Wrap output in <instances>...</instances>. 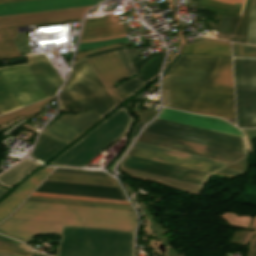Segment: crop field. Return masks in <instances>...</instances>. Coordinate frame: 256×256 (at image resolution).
<instances>
[{
	"label": "crop field",
	"mask_w": 256,
	"mask_h": 256,
	"mask_svg": "<svg viewBox=\"0 0 256 256\" xmlns=\"http://www.w3.org/2000/svg\"><path fill=\"white\" fill-rule=\"evenodd\" d=\"M148 125L245 148L243 139L232 135H227L189 125H184L159 118H156Z\"/></svg>",
	"instance_id": "crop-field-11"
},
{
	"label": "crop field",
	"mask_w": 256,
	"mask_h": 256,
	"mask_svg": "<svg viewBox=\"0 0 256 256\" xmlns=\"http://www.w3.org/2000/svg\"><path fill=\"white\" fill-rule=\"evenodd\" d=\"M246 128L256 127V60L241 59Z\"/></svg>",
	"instance_id": "crop-field-10"
},
{
	"label": "crop field",
	"mask_w": 256,
	"mask_h": 256,
	"mask_svg": "<svg viewBox=\"0 0 256 256\" xmlns=\"http://www.w3.org/2000/svg\"><path fill=\"white\" fill-rule=\"evenodd\" d=\"M19 108V105L12 97L2 80L0 79V112L1 114Z\"/></svg>",
	"instance_id": "crop-field-27"
},
{
	"label": "crop field",
	"mask_w": 256,
	"mask_h": 256,
	"mask_svg": "<svg viewBox=\"0 0 256 256\" xmlns=\"http://www.w3.org/2000/svg\"><path fill=\"white\" fill-rule=\"evenodd\" d=\"M0 246L29 252L32 251V249L28 248L27 246L2 236H0Z\"/></svg>",
	"instance_id": "crop-field-33"
},
{
	"label": "crop field",
	"mask_w": 256,
	"mask_h": 256,
	"mask_svg": "<svg viewBox=\"0 0 256 256\" xmlns=\"http://www.w3.org/2000/svg\"><path fill=\"white\" fill-rule=\"evenodd\" d=\"M120 166L201 185L204 184L210 175L209 173L205 172L173 166L129 155L124 157L120 163Z\"/></svg>",
	"instance_id": "crop-field-9"
},
{
	"label": "crop field",
	"mask_w": 256,
	"mask_h": 256,
	"mask_svg": "<svg viewBox=\"0 0 256 256\" xmlns=\"http://www.w3.org/2000/svg\"><path fill=\"white\" fill-rule=\"evenodd\" d=\"M138 129L133 128L132 133H131V137L128 143V147L130 145V143L132 142L133 138L135 137V135L137 134ZM127 147V148H128ZM127 148L124 150V152L113 162L112 166H109V170L112 171L113 166L115 165V163L120 159V157L125 153V151L127 150Z\"/></svg>",
	"instance_id": "crop-field-39"
},
{
	"label": "crop field",
	"mask_w": 256,
	"mask_h": 256,
	"mask_svg": "<svg viewBox=\"0 0 256 256\" xmlns=\"http://www.w3.org/2000/svg\"><path fill=\"white\" fill-rule=\"evenodd\" d=\"M7 191H8V190H6V189H4V188H2V187L0 186V197H1L3 194H5Z\"/></svg>",
	"instance_id": "crop-field-48"
},
{
	"label": "crop field",
	"mask_w": 256,
	"mask_h": 256,
	"mask_svg": "<svg viewBox=\"0 0 256 256\" xmlns=\"http://www.w3.org/2000/svg\"><path fill=\"white\" fill-rule=\"evenodd\" d=\"M131 116L123 106L50 164L81 167L125 130Z\"/></svg>",
	"instance_id": "crop-field-7"
},
{
	"label": "crop field",
	"mask_w": 256,
	"mask_h": 256,
	"mask_svg": "<svg viewBox=\"0 0 256 256\" xmlns=\"http://www.w3.org/2000/svg\"><path fill=\"white\" fill-rule=\"evenodd\" d=\"M46 179L117 186L115 181L50 174Z\"/></svg>",
	"instance_id": "crop-field-28"
},
{
	"label": "crop field",
	"mask_w": 256,
	"mask_h": 256,
	"mask_svg": "<svg viewBox=\"0 0 256 256\" xmlns=\"http://www.w3.org/2000/svg\"><path fill=\"white\" fill-rule=\"evenodd\" d=\"M0 256H13V255H8V254L0 253Z\"/></svg>",
	"instance_id": "crop-field-51"
},
{
	"label": "crop field",
	"mask_w": 256,
	"mask_h": 256,
	"mask_svg": "<svg viewBox=\"0 0 256 256\" xmlns=\"http://www.w3.org/2000/svg\"><path fill=\"white\" fill-rule=\"evenodd\" d=\"M10 1H18V0H0V3H2V2H10Z\"/></svg>",
	"instance_id": "crop-field-50"
},
{
	"label": "crop field",
	"mask_w": 256,
	"mask_h": 256,
	"mask_svg": "<svg viewBox=\"0 0 256 256\" xmlns=\"http://www.w3.org/2000/svg\"><path fill=\"white\" fill-rule=\"evenodd\" d=\"M216 41V40H215ZM215 41H202L195 44L188 45L184 51V53H190V54H206V55H221V56H228V42L221 43V42H215ZM182 51V53H183ZM229 56H231V49H230V43H229Z\"/></svg>",
	"instance_id": "crop-field-18"
},
{
	"label": "crop field",
	"mask_w": 256,
	"mask_h": 256,
	"mask_svg": "<svg viewBox=\"0 0 256 256\" xmlns=\"http://www.w3.org/2000/svg\"><path fill=\"white\" fill-rule=\"evenodd\" d=\"M250 229H255L256 230V219H254L253 224H252Z\"/></svg>",
	"instance_id": "crop-field-49"
},
{
	"label": "crop field",
	"mask_w": 256,
	"mask_h": 256,
	"mask_svg": "<svg viewBox=\"0 0 256 256\" xmlns=\"http://www.w3.org/2000/svg\"><path fill=\"white\" fill-rule=\"evenodd\" d=\"M55 171L59 172H71V173H83V174H94V175H106L103 172H96V171H85V170H74V169H63V168H56Z\"/></svg>",
	"instance_id": "crop-field-36"
},
{
	"label": "crop field",
	"mask_w": 256,
	"mask_h": 256,
	"mask_svg": "<svg viewBox=\"0 0 256 256\" xmlns=\"http://www.w3.org/2000/svg\"><path fill=\"white\" fill-rule=\"evenodd\" d=\"M65 144H67V142L42 132L33 149L31 157L43 163Z\"/></svg>",
	"instance_id": "crop-field-16"
},
{
	"label": "crop field",
	"mask_w": 256,
	"mask_h": 256,
	"mask_svg": "<svg viewBox=\"0 0 256 256\" xmlns=\"http://www.w3.org/2000/svg\"><path fill=\"white\" fill-rule=\"evenodd\" d=\"M137 141L229 163L244 156L242 154L199 145L174 138H169L144 131H141Z\"/></svg>",
	"instance_id": "crop-field-8"
},
{
	"label": "crop field",
	"mask_w": 256,
	"mask_h": 256,
	"mask_svg": "<svg viewBox=\"0 0 256 256\" xmlns=\"http://www.w3.org/2000/svg\"><path fill=\"white\" fill-rule=\"evenodd\" d=\"M158 117L241 136L240 131H238L232 125L217 118L194 115L165 108L162 109Z\"/></svg>",
	"instance_id": "crop-field-12"
},
{
	"label": "crop field",
	"mask_w": 256,
	"mask_h": 256,
	"mask_svg": "<svg viewBox=\"0 0 256 256\" xmlns=\"http://www.w3.org/2000/svg\"><path fill=\"white\" fill-rule=\"evenodd\" d=\"M126 34H123V35H119V36H124ZM115 37H118V36H115ZM109 38H113V37H109ZM101 39H107V38H100V39H90V40H83V41H92V40H101ZM83 41H80V42H83Z\"/></svg>",
	"instance_id": "crop-field-47"
},
{
	"label": "crop field",
	"mask_w": 256,
	"mask_h": 256,
	"mask_svg": "<svg viewBox=\"0 0 256 256\" xmlns=\"http://www.w3.org/2000/svg\"><path fill=\"white\" fill-rule=\"evenodd\" d=\"M144 82L137 80L135 78L130 79L123 84L117 86L118 88L127 91L129 93L133 92L135 89H137L139 86H141Z\"/></svg>",
	"instance_id": "crop-field-34"
},
{
	"label": "crop field",
	"mask_w": 256,
	"mask_h": 256,
	"mask_svg": "<svg viewBox=\"0 0 256 256\" xmlns=\"http://www.w3.org/2000/svg\"><path fill=\"white\" fill-rule=\"evenodd\" d=\"M126 52H127V55L130 59L131 64L140 60V58L137 56L140 53L138 52V50L136 48L128 49V50H126Z\"/></svg>",
	"instance_id": "crop-field-37"
},
{
	"label": "crop field",
	"mask_w": 256,
	"mask_h": 256,
	"mask_svg": "<svg viewBox=\"0 0 256 256\" xmlns=\"http://www.w3.org/2000/svg\"><path fill=\"white\" fill-rule=\"evenodd\" d=\"M128 154L133 155V156L142 157V158L151 159V160H156V161H160V162H165V163H169V164H173V165H178V166H182V167H187V168H191V169H196V170H200V171H205V172H209V173H212V172L218 170L219 168H221V166H217V165L198 162V161H194V160H189V159L180 158V157L171 156V155L162 154V153L153 152V151H148V150L139 149V148H135V147H132V149L129 151Z\"/></svg>",
	"instance_id": "crop-field-15"
},
{
	"label": "crop field",
	"mask_w": 256,
	"mask_h": 256,
	"mask_svg": "<svg viewBox=\"0 0 256 256\" xmlns=\"http://www.w3.org/2000/svg\"><path fill=\"white\" fill-rule=\"evenodd\" d=\"M122 48H125V47L124 46H120V47H116V48H112V49H107V50H103V51L87 54L85 57L88 58V57H92V56H96V55L112 52L114 50H118V49H122Z\"/></svg>",
	"instance_id": "crop-field-41"
},
{
	"label": "crop field",
	"mask_w": 256,
	"mask_h": 256,
	"mask_svg": "<svg viewBox=\"0 0 256 256\" xmlns=\"http://www.w3.org/2000/svg\"><path fill=\"white\" fill-rule=\"evenodd\" d=\"M134 146L139 147V148L148 149V150L158 151V152H162V153H167V154H171V155H176V156H180V157H185V158H189V159H194V160H198V161L217 164V165H221V166H225L229 163V162L224 163V162H220V161H215V160L202 158V157H198V156H194V155H189V154H185V153H181V152H177V151H172V150H168V149H164V148L146 145V144H142V143H138V142H135Z\"/></svg>",
	"instance_id": "crop-field-25"
},
{
	"label": "crop field",
	"mask_w": 256,
	"mask_h": 256,
	"mask_svg": "<svg viewBox=\"0 0 256 256\" xmlns=\"http://www.w3.org/2000/svg\"><path fill=\"white\" fill-rule=\"evenodd\" d=\"M0 252L14 254V255H20V256H30V253L10 250V249L3 248V247H0Z\"/></svg>",
	"instance_id": "crop-field-38"
},
{
	"label": "crop field",
	"mask_w": 256,
	"mask_h": 256,
	"mask_svg": "<svg viewBox=\"0 0 256 256\" xmlns=\"http://www.w3.org/2000/svg\"><path fill=\"white\" fill-rule=\"evenodd\" d=\"M113 42L129 43L128 37L124 36V37H118V38L101 40V41L79 43L77 50H85V49L94 48V47L106 45V44L113 43Z\"/></svg>",
	"instance_id": "crop-field-31"
},
{
	"label": "crop field",
	"mask_w": 256,
	"mask_h": 256,
	"mask_svg": "<svg viewBox=\"0 0 256 256\" xmlns=\"http://www.w3.org/2000/svg\"><path fill=\"white\" fill-rule=\"evenodd\" d=\"M156 8L158 10V9H167L169 7H168L167 1H165V2H161V3H157Z\"/></svg>",
	"instance_id": "crop-field-43"
},
{
	"label": "crop field",
	"mask_w": 256,
	"mask_h": 256,
	"mask_svg": "<svg viewBox=\"0 0 256 256\" xmlns=\"http://www.w3.org/2000/svg\"><path fill=\"white\" fill-rule=\"evenodd\" d=\"M247 43L256 44V0H251Z\"/></svg>",
	"instance_id": "crop-field-30"
},
{
	"label": "crop field",
	"mask_w": 256,
	"mask_h": 256,
	"mask_svg": "<svg viewBox=\"0 0 256 256\" xmlns=\"http://www.w3.org/2000/svg\"><path fill=\"white\" fill-rule=\"evenodd\" d=\"M87 61L116 104L129 95L113 87L117 81L128 77L114 52ZM87 61L74 62L71 75L60 92L61 110H91L101 117L116 104Z\"/></svg>",
	"instance_id": "crop-field-3"
},
{
	"label": "crop field",
	"mask_w": 256,
	"mask_h": 256,
	"mask_svg": "<svg viewBox=\"0 0 256 256\" xmlns=\"http://www.w3.org/2000/svg\"><path fill=\"white\" fill-rule=\"evenodd\" d=\"M249 256H256V242H255V244H254V246H253Z\"/></svg>",
	"instance_id": "crop-field-45"
},
{
	"label": "crop field",
	"mask_w": 256,
	"mask_h": 256,
	"mask_svg": "<svg viewBox=\"0 0 256 256\" xmlns=\"http://www.w3.org/2000/svg\"><path fill=\"white\" fill-rule=\"evenodd\" d=\"M78 20H81V19H78ZM70 21H73V20H70ZM62 22H66V21H62ZM62 22H53V23H62ZM46 24H52V23L37 24L36 26L46 25ZM28 26H32V25H28ZM16 33H17L16 27L0 29V59L19 56L11 41V39L14 37Z\"/></svg>",
	"instance_id": "crop-field-21"
},
{
	"label": "crop field",
	"mask_w": 256,
	"mask_h": 256,
	"mask_svg": "<svg viewBox=\"0 0 256 256\" xmlns=\"http://www.w3.org/2000/svg\"><path fill=\"white\" fill-rule=\"evenodd\" d=\"M237 127L245 128L240 59H233Z\"/></svg>",
	"instance_id": "crop-field-19"
},
{
	"label": "crop field",
	"mask_w": 256,
	"mask_h": 256,
	"mask_svg": "<svg viewBox=\"0 0 256 256\" xmlns=\"http://www.w3.org/2000/svg\"><path fill=\"white\" fill-rule=\"evenodd\" d=\"M133 234L63 225L56 256H133Z\"/></svg>",
	"instance_id": "crop-field-4"
},
{
	"label": "crop field",
	"mask_w": 256,
	"mask_h": 256,
	"mask_svg": "<svg viewBox=\"0 0 256 256\" xmlns=\"http://www.w3.org/2000/svg\"><path fill=\"white\" fill-rule=\"evenodd\" d=\"M100 117L97 116L95 113H88V112H81L78 114H66L59 117V119L69 122L73 125L81 127L83 129L87 128L93 122H95Z\"/></svg>",
	"instance_id": "crop-field-24"
},
{
	"label": "crop field",
	"mask_w": 256,
	"mask_h": 256,
	"mask_svg": "<svg viewBox=\"0 0 256 256\" xmlns=\"http://www.w3.org/2000/svg\"><path fill=\"white\" fill-rule=\"evenodd\" d=\"M32 256H48V255L34 251V252H32Z\"/></svg>",
	"instance_id": "crop-field-46"
},
{
	"label": "crop field",
	"mask_w": 256,
	"mask_h": 256,
	"mask_svg": "<svg viewBox=\"0 0 256 256\" xmlns=\"http://www.w3.org/2000/svg\"><path fill=\"white\" fill-rule=\"evenodd\" d=\"M53 169L43 168L37 171L0 202V220L9 215Z\"/></svg>",
	"instance_id": "crop-field-13"
},
{
	"label": "crop field",
	"mask_w": 256,
	"mask_h": 256,
	"mask_svg": "<svg viewBox=\"0 0 256 256\" xmlns=\"http://www.w3.org/2000/svg\"><path fill=\"white\" fill-rule=\"evenodd\" d=\"M38 166L40 165L32 160L24 159L11 169L0 174V185L10 189L17 181L22 179Z\"/></svg>",
	"instance_id": "crop-field-17"
},
{
	"label": "crop field",
	"mask_w": 256,
	"mask_h": 256,
	"mask_svg": "<svg viewBox=\"0 0 256 256\" xmlns=\"http://www.w3.org/2000/svg\"><path fill=\"white\" fill-rule=\"evenodd\" d=\"M104 0H29L0 4V16L98 4ZM93 6V5H92ZM92 6L0 17V28L82 18Z\"/></svg>",
	"instance_id": "crop-field-6"
},
{
	"label": "crop field",
	"mask_w": 256,
	"mask_h": 256,
	"mask_svg": "<svg viewBox=\"0 0 256 256\" xmlns=\"http://www.w3.org/2000/svg\"><path fill=\"white\" fill-rule=\"evenodd\" d=\"M31 195L129 204L128 201L33 192Z\"/></svg>",
	"instance_id": "crop-field-29"
},
{
	"label": "crop field",
	"mask_w": 256,
	"mask_h": 256,
	"mask_svg": "<svg viewBox=\"0 0 256 256\" xmlns=\"http://www.w3.org/2000/svg\"><path fill=\"white\" fill-rule=\"evenodd\" d=\"M117 56L119 57L124 69L127 71V73L129 74V76L135 74L133 68L130 65V62L126 56V52L124 49L119 50V51H115Z\"/></svg>",
	"instance_id": "crop-field-35"
},
{
	"label": "crop field",
	"mask_w": 256,
	"mask_h": 256,
	"mask_svg": "<svg viewBox=\"0 0 256 256\" xmlns=\"http://www.w3.org/2000/svg\"><path fill=\"white\" fill-rule=\"evenodd\" d=\"M52 98L50 99H47L45 101H42V102H39V103H36V104H33V105H30L28 107H25V108H22V109H19V110H16V111H13L11 113H8V114H5V115H2L0 116V123H3L5 121H8V120H11V119H14L20 115H26V114H30V113H33L35 112L33 115L30 116L33 117L36 113H38L40 110H42L50 101H51Z\"/></svg>",
	"instance_id": "crop-field-26"
},
{
	"label": "crop field",
	"mask_w": 256,
	"mask_h": 256,
	"mask_svg": "<svg viewBox=\"0 0 256 256\" xmlns=\"http://www.w3.org/2000/svg\"><path fill=\"white\" fill-rule=\"evenodd\" d=\"M25 201L133 211L131 206H125V205H113V204L45 199V198H34V197H28Z\"/></svg>",
	"instance_id": "crop-field-22"
},
{
	"label": "crop field",
	"mask_w": 256,
	"mask_h": 256,
	"mask_svg": "<svg viewBox=\"0 0 256 256\" xmlns=\"http://www.w3.org/2000/svg\"><path fill=\"white\" fill-rule=\"evenodd\" d=\"M218 1L226 2V3H231V4L233 2H236V3H240L241 4L243 0H218ZM237 5H239V4H237Z\"/></svg>",
	"instance_id": "crop-field-44"
},
{
	"label": "crop field",
	"mask_w": 256,
	"mask_h": 256,
	"mask_svg": "<svg viewBox=\"0 0 256 256\" xmlns=\"http://www.w3.org/2000/svg\"><path fill=\"white\" fill-rule=\"evenodd\" d=\"M233 56L256 57L255 46H245L232 43Z\"/></svg>",
	"instance_id": "crop-field-32"
},
{
	"label": "crop field",
	"mask_w": 256,
	"mask_h": 256,
	"mask_svg": "<svg viewBox=\"0 0 256 256\" xmlns=\"http://www.w3.org/2000/svg\"><path fill=\"white\" fill-rule=\"evenodd\" d=\"M55 174H64V175H73V176H83V177H92V178H101V179H110L113 180L112 177H106V176H94V175H82V174H70V173H58V172H52Z\"/></svg>",
	"instance_id": "crop-field-40"
},
{
	"label": "crop field",
	"mask_w": 256,
	"mask_h": 256,
	"mask_svg": "<svg viewBox=\"0 0 256 256\" xmlns=\"http://www.w3.org/2000/svg\"><path fill=\"white\" fill-rule=\"evenodd\" d=\"M47 58V57H46ZM43 55L27 56L24 66L47 95L53 96L63 83ZM23 64L0 67V77L20 107L46 98Z\"/></svg>",
	"instance_id": "crop-field-5"
},
{
	"label": "crop field",
	"mask_w": 256,
	"mask_h": 256,
	"mask_svg": "<svg viewBox=\"0 0 256 256\" xmlns=\"http://www.w3.org/2000/svg\"><path fill=\"white\" fill-rule=\"evenodd\" d=\"M119 21L118 14L86 19L80 40L123 34V25L116 23Z\"/></svg>",
	"instance_id": "crop-field-14"
},
{
	"label": "crop field",
	"mask_w": 256,
	"mask_h": 256,
	"mask_svg": "<svg viewBox=\"0 0 256 256\" xmlns=\"http://www.w3.org/2000/svg\"><path fill=\"white\" fill-rule=\"evenodd\" d=\"M84 131L85 130L81 128L57 119L44 132L70 143Z\"/></svg>",
	"instance_id": "crop-field-20"
},
{
	"label": "crop field",
	"mask_w": 256,
	"mask_h": 256,
	"mask_svg": "<svg viewBox=\"0 0 256 256\" xmlns=\"http://www.w3.org/2000/svg\"><path fill=\"white\" fill-rule=\"evenodd\" d=\"M162 94L172 107L234 118L231 58L180 55L163 76Z\"/></svg>",
	"instance_id": "crop-field-1"
},
{
	"label": "crop field",
	"mask_w": 256,
	"mask_h": 256,
	"mask_svg": "<svg viewBox=\"0 0 256 256\" xmlns=\"http://www.w3.org/2000/svg\"><path fill=\"white\" fill-rule=\"evenodd\" d=\"M160 54H162L160 57L156 58L154 61H152L149 65H147L145 67V69L142 72L143 75L140 76V77H136V78L141 79V80L146 82L151 77H153L155 74H157L160 70L162 61H163L164 56H165V52L150 55V56H148V57L142 59L141 61L132 65L133 68L135 69V71L138 73V75H140L139 71H140L141 66L143 64H145L147 61H149L152 57H154L156 55H160Z\"/></svg>",
	"instance_id": "crop-field-23"
},
{
	"label": "crop field",
	"mask_w": 256,
	"mask_h": 256,
	"mask_svg": "<svg viewBox=\"0 0 256 256\" xmlns=\"http://www.w3.org/2000/svg\"><path fill=\"white\" fill-rule=\"evenodd\" d=\"M62 224L134 231L135 214L23 202L0 223V233L26 243L41 234H59Z\"/></svg>",
	"instance_id": "crop-field-2"
},
{
	"label": "crop field",
	"mask_w": 256,
	"mask_h": 256,
	"mask_svg": "<svg viewBox=\"0 0 256 256\" xmlns=\"http://www.w3.org/2000/svg\"><path fill=\"white\" fill-rule=\"evenodd\" d=\"M220 172L236 175V174L240 173L241 171L224 168V169L220 170Z\"/></svg>",
	"instance_id": "crop-field-42"
}]
</instances>
